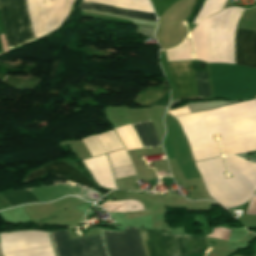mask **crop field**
<instances>
[{"instance_id": "1", "label": "crop field", "mask_w": 256, "mask_h": 256, "mask_svg": "<svg viewBox=\"0 0 256 256\" xmlns=\"http://www.w3.org/2000/svg\"><path fill=\"white\" fill-rule=\"evenodd\" d=\"M195 161L220 156L211 134L220 133L222 154L256 150V100L175 117Z\"/></svg>"}, {"instance_id": "2", "label": "crop field", "mask_w": 256, "mask_h": 256, "mask_svg": "<svg viewBox=\"0 0 256 256\" xmlns=\"http://www.w3.org/2000/svg\"><path fill=\"white\" fill-rule=\"evenodd\" d=\"M35 39L57 29L73 0H26ZM25 0H0L8 48L34 40ZM63 22V21H62Z\"/></svg>"}, {"instance_id": "3", "label": "crop field", "mask_w": 256, "mask_h": 256, "mask_svg": "<svg viewBox=\"0 0 256 256\" xmlns=\"http://www.w3.org/2000/svg\"><path fill=\"white\" fill-rule=\"evenodd\" d=\"M232 178L224 180L226 172L222 158L194 163L212 199L223 207L245 202L256 190V164L235 156L225 157Z\"/></svg>"}, {"instance_id": "4", "label": "crop field", "mask_w": 256, "mask_h": 256, "mask_svg": "<svg viewBox=\"0 0 256 256\" xmlns=\"http://www.w3.org/2000/svg\"><path fill=\"white\" fill-rule=\"evenodd\" d=\"M176 87L175 99H195L194 70L190 61L168 62ZM196 99L209 98L206 71L195 72Z\"/></svg>"}, {"instance_id": "5", "label": "crop field", "mask_w": 256, "mask_h": 256, "mask_svg": "<svg viewBox=\"0 0 256 256\" xmlns=\"http://www.w3.org/2000/svg\"><path fill=\"white\" fill-rule=\"evenodd\" d=\"M57 256H109L103 235L69 240L67 231L50 234Z\"/></svg>"}, {"instance_id": "6", "label": "crop field", "mask_w": 256, "mask_h": 256, "mask_svg": "<svg viewBox=\"0 0 256 256\" xmlns=\"http://www.w3.org/2000/svg\"><path fill=\"white\" fill-rule=\"evenodd\" d=\"M139 229L145 256H183L188 255L182 235Z\"/></svg>"}, {"instance_id": "7", "label": "crop field", "mask_w": 256, "mask_h": 256, "mask_svg": "<svg viewBox=\"0 0 256 256\" xmlns=\"http://www.w3.org/2000/svg\"><path fill=\"white\" fill-rule=\"evenodd\" d=\"M103 232L110 256H144L137 228L126 227L123 232Z\"/></svg>"}, {"instance_id": "8", "label": "crop field", "mask_w": 256, "mask_h": 256, "mask_svg": "<svg viewBox=\"0 0 256 256\" xmlns=\"http://www.w3.org/2000/svg\"><path fill=\"white\" fill-rule=\"evenodd\" d=\"M47 173L53 174L55 176L61 177L69 181H73L76 183H80V184L92 187L93 189H95L96 191L100 192L103 195L108 192L106 190L99 188L96 184L91 182L89 179H87L77 170L73 169L72 167L68 166L67 164L61 161L50 163L33 172L28 173V175L25 177L24 180L37 177L40 175H44Z\"/></svg>"}, {"instance_id": "9", "label": "crop field", "mask_w": 256, "mask_h": 256, "mask_svg": "<svg viewBox=\"0 0 256 256\" xmlns=\"http://www.w3.org/2000/svg\"><path fill=\"white\" fill-rule=\"evenodd\" d=\"M254 50L255 32L237 29L235 43L236 64L254 68Z\"/></svg>"}, {"instance_id": "10", "label": "crop field", "mask_w": 256, "mask_h": 256, "mask_svg": "<svg viewBox=\"0 0 256 256\" xmlns=\"http://www.w3.org/2000/svg\"><path fill=\"white\" fill-rule=\"evenodd\" d=\"M79 8L81 10H98V11L116 14L120 16L156 21L155 14L150 12L129 10V9L117 8V7L107 6V5L89 4V3H80Z\"/></svg>"}, {"instance_id": "11", "label": "crop field", "mask_w": 256, "mask_h": 256, "mask_svg": "<svg viewBox=\"0 0 256 256\" xmlns=\"http://www.w3.org/2000/svg\"><path fill=\"white\" fill-rule=\"evenodd\" d=\"M145 148L161 147L150 120L132 124Z\"/></svg>"}, {"instance_id": "12", "label": "crop field", "mask_w": 256, "mask_h": 256, "mask_svg": "<svg viewBox=\"0 0 256 256\" xmlns=\"http://www.w3.org/2000/svg\"><path fill=\"white\" fill-rule=\"evenodd\" d=\"M108 213H126L145 210L143 204L137 200L112 202L110 199L100 205Z\"/></svg>"}, {"instance_id": "13", "label": "crop field", "mask_w": 256, "mask_h": 256, "mask_svg": "<svg viewBox=\"0 0 256 256\" xmlns=\"http://www.w3.org/2000/svg\"><path fill=\"white\" fill-rule=\"evenodd\" d=\"M186 245L190 255L207 251L204 238L185 235Z\"/></svg>"}, {"instance_id": "14", "label": "crop field", "mask_w": 256, "mask_h": 256, "mask_svg": "<svg viewBox=\"0 0 256 256\" xmlns=\"http://www.w3.org/2000/svg\"><path fill=\"white\" fill-rule=\"evenodd\" d=\"M154 8V11L159 17L166 9H168L172 4L178 0H150Z\"/></svg>"}, {"instance_id": "15", "label": "crop field", "mask_w": 256, "mask_h": 256, "mask_svg": "<svg viewBox=\"0 0 256 256\" xmlns=\"http://www.w3.org/2000/svg\"><path fill=\"white\" fill-rule=\"evenodd\" d=\"M6 51H8V48H7L5 33H4V29H3V25L0 17V54Z\"/></svg>"}, {"instance_id": "16", "label": "crop field", "mask_w": 256, "mask_h": 256, "mask_svg": "<svg viewBox=\"0 0 256 256\" xmlns=\"http://www.w3.org/2000/svg\"><path fill=\"white\" fill-rule=\"evenodd\" d=\"M168 113H170L171 115L175 116V115H181V114L190 113V110L187 107V105H185V106L179 107V108H177L175 110L168 111Z\"/></svg>"}, {"instance_id": "17", "label": "crop field", "mask_w": 256, "mask_h": 256, "mask_svg": "<svg viewBox=\"0 0 256 256\" xmlns=\"http://www.w3.org/2000/svg\"><path fill=\"white\" fill-rule=\"evenodd\" d=\"M246 214H256V196L251 198Z\"/></svg>"}, {"instance_id": "18", "label": "crop field", "mask_w": 256, "mask_h": 256, "mask_svg": "<svg viewBox=\"0 0 256 256\" xmlns=\"http://www.w3.org/2000/svg\"><path fill=\"white\" fill-rule=\"evenodd\" d=\"M139 177V176H138Z\"/></svg>"}]
</instances>
